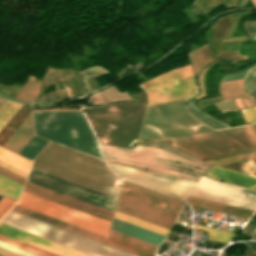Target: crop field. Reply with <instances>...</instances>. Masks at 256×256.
I'll return each mask as SVG.
<instances>
[{
    "mask_svg": "<svg viewBox=\"0 0 256 256\" xmlns=\"http://www.w3.org/2000/svg\"><path fill=\"white\" fill-rule=\"evenodd\" d=\"M22 106L20 103L6 100L0 107V130L2 127L11 119V117L19 110Z\"/></svg>",
    "mask_w": 256,
    "mask_h": 256,
    "instance_id": "4177f3b9",
    "label": "crop field"
},
{
    "mask_svg": "<svg viewBox=\"0 0 256 256\" xmlns=\"http://www.w3.org/2000/svg\"><path fill=\"white\" fill-rule=\"evenodd\" d=\"M107 240H108V241H111V242H113V243L119 244V245H121V246L130 248V249H132V250L138 251V252H140V253L154 256V253H153V252H150V251H148V250L139 248V247H137V246H134V245L125 243V242H123V241L114 239V238H112V237H109V236H108Z\"/></svg>",
    "mask_w": 256,
    "mask_h": 256,
    "instance_id": "5866460e",
    "label": "crop field"
},
{
    "mask_svg": "<svg viewBox=\"0 0 256 256\" xmlns=\"http://www.w3.org/2000/svg\"><path fill=\"white\" fill-rule=\"evenodd\" d=\"M106 244L111 245V246H114V247L119 248V249H122V250H125V251H128V252H131V253L136 254V255H139V256H144L143 254H140V253L135 252V251H132V250H130V249L121 247V246H119V245L113 244V243L108 242V241L106 242Z\"/></svg>",
    "mask_w": 256,
    "mask_h": 256,
    "instance_id": "5d738f31",
    "label": "crop field"
},
{
    "mask_svg": "<svg viewBox=\"0 0 256 256\" xmlns=\"http://www.w3.org/2000/svg\"><path fill=\"white\" fill-rule=\"evenodd\" d=\"M0 160L6 162L24 172H28L31 162L3 149L0 148Z\"/></svg>",
    "mask_w": 256,
    "mask_h": 256,
    "instance_id": "92a150f3",
    "label": "crop field"
},
{
    "mask_svg": "<svg viewBox=\"0 0 256 256\" xmlns=\"http://www.w3.org/2000/svg\"><path fill=\"white\" fill-rule=\"evenodd\" d=\"M116 210H117V211H120V212H122V213L128 214V215H131V216H133V217L142 219V220H144V221L153 223V224H155V225L164 227V228L169 229V230L171 229V226H172L171 224H168V223H165V222H163V221H160V220L151 218V217H149V216H146V215L137 213V212H135V211H132V210L123 208V207L118 206V205H117Z\"/></svg>",
    "mask_w": 256,
    "mask_h": 256,
    "instance_id": "eef30255",
    "label": "crop field"
},
{
    "mask_svg": "<svg viewBox=\"0 0 256 256\" xmlns=\"http://www.w3.org/2000/svg\"><path fill=\"white\" fill-rule=\"evenodd\" d=\"M246 123L256 121V106L241 110Z\"/></svg>",
    "mask_w": 256,
    "mask_h": 256,
    "instance_id": "e1f06a70",
    "label": "crop field"
},
{
    "mask_svg": "<svg viewBox=\"0 0 256 256\" xmlns=\"http://www.w3.org/2000/svg\"><path fill=\"white\" fill-rule=\"evenodd\" d=\"M0 106L3 104V102L6 100V99H4V98H2V97H0Z\"/></svg>",
    "mask_w": 256,
    "mask_h": 256,
    "instance_id": "d23c7cc5",
    "label": "crop field"
},
{
    "mask_svg": "<svg viewBox=\"0 0 256 256\" xmlns=\"http://www.w3.org/2000/svg\"><path fill=\"white\" fill-rule=\"evenodd\" d=\"M229 24V16L225 15L219 18L214 24V34L213 39L224 34Z\"/></svg>",
    "mask_w": 256,
    "mask_h": 256,
    "instance_id": "1d83c4d3",
    "label": "crop field"
},
{
    "mask_svg": "<svg viewBox=\"0 0 256 256\" xmlns=\"http://www.w3.org/2000/svg\"><path fill=\"white\" fill-rule=\"evenodd\" d=\"M17 205L100 234L102 236H107L110 224L109 222L29 194L27 192H22L21 199Z\"/></svg>",
    "mask_w": 256,
    "mask_h": 256,
    "instance_id": "f4fd0767",
    "label": "crop field"
},
{
    "mask_svg": "<svg viewBox=\"0 0 256 256\" xmlns=\"http://www.w3.org/2000/svg\"><path fill=\"white\" fill-rule=\"evenodd\" d=\"M0 174L20 183L22 185L24 184V182L26 180L25 178L15 174L5 168H2V167H0Z\"/></svg>",
    "mask_w": 256,
    "mask_h": 256,
    "instance_id": "028f5c9d",
    "label": "crop field"
},
{
    "mask_svg": "<svg viewBox=\"0 0 256 256\" xmlns=\"http://www.w3.org/2000/svg\"><path fill=\"white\" fill-rule=\"evenodd\" d=\"M108 73L109 72L107 70H105L101 67H98V66H94V67L86 69L82 72H78V73H74V74H70V75H66V76L52 77L50 82L47 85L56 84L57 90H55L51 93L49 92L48 94H46V96H42L38 102L68 98V93H67L64 79H67L68 87L70 89V93L72 96L73 94L71 91V87H70L68 78H71V77H74V76L80 74L81 79L84 80V79L95 78L99 75L108 74ZM59 82L62 83L64 90L58 89L57 83H59Z\"/></svg>",
    "mask_w": 256,
    "mask_h": 256,
    "instance_id": "28ad6ade",
    "label": "crop field"
},
{
    "mask_svg": "<svg viewBox=\"0 0 256 256\" xmlns=\"http://www.w3.org/2000/svg\"><path fill=\"white\" fill-rule=\"evenodd\" d=\"M28 182L48 188L50 190L62 193L64 195L76 198L78 200L90 203L92 205L114 211L116 198L88 189L86 187L74 184L50 174L31 169Z\"/></svg>",
    "mask_w": 256,
    "mask_h": 256,
    "instance_id": "dd49c442",
    "label": "crop field"
},
{
    "mask_svg": "<svg viewBox=\"0 0 256 256\" xmlns=\"http://www.w3.org/2000/svg\"><path fill=\"white\" fill-rule=\"evenodd\" d=\"M188 56L192 63L194 74L212 60L208 45L189 53Z\"/></svg>",
    "mask_w": 256,
    "mask_h": 256,
    "instance_id": "733c2abd",
    "label": "crop field"
},
{
    "mask_svg": "<svg viewBox=\"0 0 256 256\" xmlns=\"http://www.w3.org/2000/svg\"><path fill=\"white\" fill-rule=\"evenodd\" d=\"M22 187V185L0 175V193L17 200Z\"/></svg>",
    "mask_w": 256,
    "mask_h": 256,
    "instance_id": "00972430",
    "label": "crop field"
},
{
    "mask_svg": "<svg viewBox=\"0 0 256 256\" xmlns=\"http://www.w3.org/2000/svg\"><path fill=\"white\" fill-rule=\"evenodd\" d=\"M121 193L125 194V195H128V196H131V197H134L136 199H139V200H142V201H145V202H148V203H151V204L163 207L165 209H168V210H171V211H174V212H177V213L180 210V207L174 206L172 204L160 201L158 199L146 196L144 194L132 191V190L124 188V187L122 188V192Z\"/></svg>",
    "mask_w": 256,
    "mask_h": 256,
    "instance_id": "bc2a9ffb",
    "label": "crop field"
},
{
    "mask_svg": "<svg viewBox=\"0 0 256 256\" xmlns=\"http://www.w3.org/2000/svg\"><path fill=\"white\" fill-rule=\"evenodd\" d=\"M194 228L196 229H200V230H204L207 231V236L209 240H215V241H220V242H224L226 243L228 240H230L232 238V236L234 235L233 233H229V232H225V231H221V230H217V229H212V228H208V227H204V226H200V225H196L194 224ZM213 238V239H211Z\"/></svg>",
    "mask_w": 256,
    "mask_h": 256,
    "instance_id": "730fd06b",
    "label": "crop field"
},
{
    "mask_svg": "<svg viewBox=\"0 0 256 256\" xmlns=\"http://www.w3.org/2000/svg\"><path fill=\"white\" fill-rule=\"evenodd\" d=\"M171 146L198 158L256 148V130Z\"/></svg>",
    "mask_w": 256,
    "mask_h": 256,
    "instance_id": "e52e79f7",
    "label": "crop field"
},
{
    "mask_svg": "<svg viewBox=\"0 0 256 256\" xmlns=\"http://www.w3.org/2000/svg\"><path fill=\"white\" fill-rule=\"evenodd\" d=\"M206 175L215 179L256 189V176L211 166Z\"/></svg>",
    "mask_w": 256,
    "mask_h": 256,
    "instance_id": "22f410ed",
    "label": "crop field"
},
{
    "mask_svg": "<svg viewBox=\"0 0 256 256\" xmlns=\"http://www.w3.org/2000/svg\"><path fill=\"white\" fill-rule=\"evenodd\" d=\"M114 217H115V218H118V219H120V220L129 222V223H132V224H134V225H137V226L146 228V229H148V230H151V231L160 233V234L165 235V236L167 235V233H168V231H169V230H166V229H164V228L155 226V225H153V224L144 222V221H142V220L133 218V217H131V216L122 214V213L117 212V211L115 212V216H114Z\"/></svg>",
    "mask_w": 256,
    "mask_h": 256,
    "instance_id": "a9b5d70f",
    "label": "crop field"
},
{
    "mask_svg": "<svg viewBox=\"0 0 256 256\" xmlns=\"http://www.w3.org/2000/svg\"><path fill=\"white\" fill-rule=\"evenodd\" d=\"M12 211H15V212H17V213L26 215V216H28V217H31V218H34V219H37V220H40V221L45 222V223H48V224H51V225H53V226L62 228V229H64V230L73 232V233H75V234H78V235L87 237V238H89V239L98 241V242H100V243H103V244L105 243V239H106L105 237H102V236H100V235L91 233V232H89V231L80 229V228L75 227V226H72V225H69V224H67V223H64V222L55 220V219H53V218L44 216V215H42V214L33 212V211H31V210L22 208V207H20V206L15 205L14 208L12 209Z\"/></svg>",
    "mask_w": 256,
    "mask_h": 256,
    "instance_id": "d1516ede",
    "label": "crop field"
},
{
    "mask_svg": "<svg viewBox=\"0 0 256 256\" xmlns=\"http://www.w3.org/2000/svg\"><path fill=\"white\" fill-rule=\"evenodd\" d=\"M23 190L27 191L29 193L38 195L40 197L49 199L51 201L60 203L62 205L71 207L73 209L82 211L84 213L93 215L95 217L104 219L106 221H109V222L111 221V217H112V214H113L112 212H109V211H106L104 209L92 206L90 204L78 201L76 199L64 196L62 194L50 191L48 189L36 186L34 184H31V183L27 182Z\"/></svg>",
    "mask_w": 256,
    "mask_h": 256,
    "instance_id": "d8731c3e",
    "label": "crop field"
},
{
    "mask_svg": "<svg viewBox=\"0 0 256 256\" xmlns=\"http://www.w3.org/2000/svg\"><path fill=\"white\" fill-rule=\"evenodd\" d=\"M4 196L0 195V200L3 198Z\"/></svg>",
    "mask_w": 256,
    "mask_h": 256,
    "instance_id": "425ffa30",
    "label": "crop field"
},
{
    "mask_svg": "<svg viewBox=\"0 0 256 256\" xmlns=\"http://www.w3.org/2000/svg\"><path fill=\"white\" fill-rule=\"evenodd\" d=\"M242 81L243 79L221 82L220 91L223 99L226 100L241 96H248L242 89Z\"/></svg>",
    "mask_w": 256,
    "mask_h": 256,
    "instance_id": "4a817a6b",
    "label": "crop field"
},
{
    "mask_svg": "<svg viewBox=\"0 0 256 256\" xmlns=\"http://www.w3.org/2000/svg\"><path fill=\"white\" fill-rule=\"evenodd\" d=\"M244 88L248 91V93H256V68L250 69Z\"/></svg>",
    "mask_w": 256,
    "mask_h": 256,
    "instance_id": "120bbe31",
    "label": "crop field"
},
{
    "mask_svg": "<svg viewBox=\"0 0 256 256\" xmlns=\"http://www.w3.org/2000/svg\"><path fill=\"white\" fill-rule=\"evenodd\" d=\"M1 256V255H0Z\"/></svg>",
    "mask_w": 256,
    "mask_h": 256,
    "instance_id": "25e5ab78",
    "label": "crop field"
},
{
    "mask_svg": "<svg viewBox=\"0 0 256 256\" xmlns=\"http://www.w3.org/2000/svg\"><path fill=\"white\" fill-rule=\"evenodd\" d=\"M223 167L255 174L256 173V159L255 160H249V161H243V162H237L232 164H226V165H220Z\"/></svg>",
    "mask_w": 256,
    "mask_h": 256,
    "instance_id": "bd1437ed",
    "label": "crop field"
},
{
    "mask_svg": "<svg viewBox=\"0 0 256 256\" xmlns=\"http://www.w3.org/2000/svg\"><path fill=\"white\" fill-rule=\"evenodd\" d=\"M0 166L5 167V168H7V169H9V170H11V171H13V172H15V173H17V174L23 176V177H25V178H26V176H27L26 173H24V172H22V171H20V170H18V169H16V168H14V167H12V166L6 164V163H3V162H1V161H0Z\"/></svg>",
    "mask_w": 256,
    "mask_h": 256,
    "instance_id": "03da06ac",
    "label": "crop field"
},
{
    "mask_svg": "<svg viewBox=\"0 0 256 256\" xmlns=\"http://www.w3.org/2000/svg\"><path fill=\"white\" fill-rule=\"evenodd\" d=\"M32 136V115L30 114L28 118L21 124V126L6 141L3 147L18 153Z\"/></svg>",
    "mask_w": 256,
    "mask_h": 256,
    "instance_id": "cbeb9de0",
    "label": "crop field"
},
{
    "mask_svg": "<svg viewBox=\"0 0 256 256\" xmlns=\"http://www.w3.org/2000/svg\"><path fill=\"white\" fill-rule=\"evenodd\" d=\"M109 236H112L114 238H117V239H120V240H123L125 242H128V243H131V244H134V245H137L139 247H142V248H145V249H148L150 251H155L156 249V246H153L151 244H148V243H145L143 241H140V240H137L135 238H132V237H129L127 235H124V234H121L119 232H116V231H113V230H109Z\"/></svg>",
    "mask_w": 256,
    "mask_h": 256,
    "instance_id": "ae1a2a85",
    "label": "crop field"
},
{
    "mask_svg": "<svg viewBox=\"0 0 256 256\" xmlns=\"http://www.w3.org/2000/svg\"><path fill=\"white\" fill-rule=\"evenodd\" d=\"M0 246H1V247H4V248H7V249H10V250H13V251L18 252V253L27 255V256H40V255L31 253V252L25 251V250H23V249H20V248H17V247L8 245V244L3 243V242H0Z\"/></svg>",
    "mask_w": 256,
    "mask_h": 256,
    "instance_id": "c035e120",
    "label": "crop field"
},
{
    "mask_svg": "<svg viewBox=\"0 0 256 256\" xmlns=\"http://www.w3.org/2000/svg\"><path fill=\"white\" fill-rule=\"evenodd\" d=\"M0 254L4 255V256H24V255L15 253L13 251H10V250H7V249L1 248V247H0Z\"/></svg>",
    "mask_w": 256,
    "mask_h": 256,
    "instance_id": "b54c1fbb",
    "label": "crop field"
},
{
    "mask_svg": "<svg viewBox=\"0 0 256 256\" xmlns=\"http://www.w3.org/2000/svg\"><path fill=\"white\" fill-rule=\"evenodd\" d=\"M47 142V140L33 136L18 154L33 160Z\"/></svg>",
    "mask_w": 256,
    "mask_h": 256,
    "instance_id": "dafd665d",
    "label": "crop field"
},
{
    "mask_svg": "<svg viewBox=\"0 0 256 256\" xmlns=\"http://www.w3.org/2000/svg\"><path fill=\"white\" fill-rule=\"evenodd\" d=\"M248 70H249V69L244 70V71H242V72L234 73V74L229 75V76H225V77L222 79V81L244 78V76H245V74L247 73Z\"/></svg>",
    "mask_w": 256,
    "mask_h": 256,
    "instance_id": "c21b1889",
    "label": "crop field"
},
{
    "mask_svg": "<svg viewBox=\"0 0 256 256\" xmlns=\"http://www.w3.org/2000/svg\"><path fill=\"white\" fill-rule=\"evenodd\" d=\"M41 89V81L28 76L25 85L15 99L21 101H33Z\"/></svg>",
    "mask_w": 256,
    "mask_h": 256,
    "instance_id": "d9b57169",
    "label": "crop field"
},
{
    "mask_svg": "<svg viewBox=\"0 0 256 256\" xmlns=\"http://www.w3.org/2000/svg\"><path fill=\"white\" fill-rule=\"evenodd\" d=\"M117 204L129 209L138 211L140 213L152 216L154 218L166 221L171 224H173L177 216V213L136 200L134 198H131L122 194L120 195V198Z\"/></svg>",
    "mask_w": 256,
    "mask_h": 256,
    "instance_id": "3316defc",
    "label": "crop field"
},
{
    "mask_svg": "<svg viewBox=\"0 0 256 256\" xmlns=\"http://www.w3.org/2000/svg\"><path fill=\"white\" fill-rule=\"evenodd\" d=\"M139 86L143 88L149 104L185 98L198 93L190 65L161 74Z\"/></svg>",
    "mask_w": 256,
    "mask_h": 256,
    "instance_id": "412701ff",
    "label": "crop field"
},
{
    "mask_svg": "<svg viewBox=\"0 0 256 256\" xmlns=\"http://www.w3.org/2000/svg\"><path fill=\"white\" fill-rule=\"evenodd\" d=\"M228 103L231 105V107L233 108V110H236L238 109L234 100H230L228 101ZM227 103V101H224V102H219V103H216V107L222 111V112H227V111H231L232 108L229 106V104Z\"/></svg>",
    "mask_w": 256,
    "mask_h": 256,
    "instance_id": "0bd39190",
    "label": "crop field"
},
{
    "mask_svg": "<svg viewBox=\"0 0 256 256\" xmlns=\"http://www.w3.org/2000/svg\"><path fill=\"white\" fill-rule=\"evenodd\" d=\"M0 223L92 256H134L12 211Z\"/></svg>",
    "mask_w": 256,
    "mask_h": 256,
    "instance_id": "34b2d1b8",
    "label": "crop field"
},
{
    "mask_svg": "<svg viewBox=\"0 0 256 256\" xmlns=\"http://www.w3.org/2000/svg\"><path fill=\"white\" fill-rule=\"evenodd\" d=\"M124 187H127V188H130L132 190H135V191H138V192H141V193H144L146 195H149V196H152V197H155V198H158L160 200H163V201H166V202H169V203H172L174 205H177V206H182V202L181 201H178L174 198H171L169 196H166V195H163L161 193H158L156 191H153L151 189H148L146 187H143L141 185H138V184H134V183H131V182H127V181H124V184H123Z\"/></svg>",
    "mask_w": 256,
    "mask_h": 256,
    "instance_id": "214f88e0",
    "label": "crop field"
},
{
    "mask_svg": "<svg viewBox=\"0 0 256 256\" xmlns=\"http://www.w3.org/2000/svg\"><path fill=\"white\" fill-rule=\"evenodd\" d=\"M256 129V123L249 125V126H243V127H237L233 129H226V130H218V131H211V132H205V133H199V134H193V135H187V136H181V137H175L172 138L174 143H182V142H188L193 140H199L204 138H210L215 136H221L226 134H232L237 132H243L248 130H254Z\"/></svg>",
    "mask_w": 256,
    "mask_h": 256,
    "instance_id": "5142ce71",
    "label": "crop field"
},
{
    "mask_svg": "<svg viewBox=\"0 0 256 256\" xmlns=\"http://www.w3.org/2000/svg\"><path fill=\"white\" fill-rule=\"evenodd\" d=\"M35 135L103 158L80 111L33 112Z\"/></svg>",
    "mask_w": 256,
    "mask_h": 256,
    "instance_id": "ac0d7876",
    "label": "crop field"
},
{
    "mask_svg": "<svg viewBox=\"0 0 256 256\" xmlns=\"http://www.w3.org/2000/svg\"><path fill=\"white\" fill-rule=\"evenodd\" d=\"M254 158H256V152L235 155V156H230V157H224V158H219V159H213V160H207V162H210V163L216 164V165H220V164L249 160V159H254Z\"/></svg>",
    "mask_w": 256,
    "mask_h": 256,
    "instance_id": "750c4746",
    "label": "crop field"
},
{
    "mask_svg": "<svg viewBox=\"0 0 256 256\" xmlns=\"http://www.w3.org/2000/svg\"><path fill=\"white\" fill-rule=\"evenodd\" d=\"M0 234L39 247L41 249L53 252L61 256H89L81 252L66 248L64 246L52 243L50 241L21 232L19 230L7 227L2 224H0Z\"/></svg>",
    "mask_w": 256,
    "mask_h": 256,
    "instance_id": "5a996713",
    "label": "crop field"
},
{
    "mask_svg": "<svg viewBox=\"0 0 256 256\" xmlns=\"http://www.w3.org/2000/svg\"><path fill=\"white\" fill-rule=\"evenodd\" d=\"M0 241L6 242L8 244L23 248L25 250H28V251H31V252H34V253H37V254H40L42 256H58V255H55L53 253L41 250L39 248L27 245L25 243L13 240L11 238H8V237L2 236V235H0Z\"/></svg>",
    "mask_w": 256,
    "mask_h": 256,
    "instance_id": "d3111659",
    "label": "crop field"
},
{
    "mask_svg": "<svg viewBox=\"0 0 256 256\" xmlns=\"http://www.w3.org/2000/svg\"><path fill=\"white\" fill-rule=\"evenodd\" d=\"M219 57H222L230 62H235L236 60H246V56H239L238 52L220 51L218 56L215 57L212 63H214ZM232 63V64H233Z\"/></svg>",
    "mask_w": 256,
    "mask_h": 256,
    "instance_id": "d32e631a",
    "label": "crop field"
},
{
    "mask_svg": "<svg viewBox=\"0 0 256 256\" xmlns=\"http://www.w3.org/2000/svg\"><path fill=\"white\" fill-rule=\"evenodd\" d=\"M137 141H139V140H137ZM139 142H143V141H139ZM145 143H147V142H145ZM138 144H144V143H138ZM152 144H155V143H152ZM146 145H149V144H146ZM102 147H103V150L106 154L108 161L111 163L120 162V163H125V164L146 167V168H150V169L160 171V172L174 173V174H177L175 176L194 180L196 182H198L199 177H196V176L190 175V174H186L183 172H179V171H174L171 169L190 172V173L198 175L200 177H201V175H199L197 173H193L191 171H187V170L178 168V167L167 166L164 164H172V165L180 166V167H183V168H186V169H189V170L201 173V174H203L206 171V169L210 166L209 164H207L195 157H192V156H189L187 154L180 152L181 155H183L193 161L188 160L184 157H181L177 154H174V153L168 151L170 149L164 150V149L148 147V146H144V145H136L133 149L114 147V146H106V145H102ZM157 147H160V146H157ZM161 148H165V147H161ZM165 149H167V148H165ZM109 157L143 163V164H148V165H153L156 167H151V166H147V165H143V164L129 163V162H125V161L112 159ZM151 157L178 161V162H182L185 164H189V165L201 168L203 170L176 164V163H172V162H168V161L154 159ZM112 161H115V162H112ZM115 164H119V163H115ZM119 165L136 168V167H132V166L124 165V164H119ZM110 166L117 174H119L121 176H124L128 179L134 180L136 182L142 183V184L152 187L154 189H158L161 191L175 194L183 200H186L188 195H192V196H196V197H200V198H204V199H208V200H212V201L225 203V204H229V205L256 211V190L224 183V182L209 178L204 175H202V177L198 183H195L190 180H185V179H180V178H175V177H170V176H163V177H167V178L184 181V182H180V181H174V180H168V179L155 177L153 175H157V174L145 172L148 170H145V171H141L144 169L136 170V169H140V168L131 169V168L122 167V166H118V165H114V164H110ZM150 172H152V171H150ZM160 174H165V173H160ZM171 175H173V174H171ZM157 176H161V175H157ZM244 191L252 192L254 194L250 199H248L242 193ZM192 196H190L187 201L188 204L192 205V206H196V207H200V208H204V209H208V210H213V211H217V212H221V213H225V214H230V215H234V216H238V217H242V218H246V219H249L251 217V215L254 213L253 211H249V210H245V209H241V208H237V207H233V206H229V205H225V204H220V203H216V202H212V201H208V200H204V199H200V198H196V197H192Z\"/></svg>",
    "mask_w": 256,
    "mask_h": 256,
    "instance_id": "8a807250",
    "label": "crop field"
},
{
    "mask_svg": "<svg viewBox=\"0 0 256 256\" xmlns=\"http://www.w3.org/2000/svg\"><path fill=\"white\" fill-rule=\"evenodd\" d=\"M15 202L4 197L0 201V217L14 204Z\"/></svg>",
    "mask_w": 256,
    "mask_h": 256,
    "instance_id": "b80d0937",
    "label": "crop field"
}]
</instances>
